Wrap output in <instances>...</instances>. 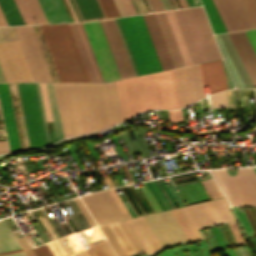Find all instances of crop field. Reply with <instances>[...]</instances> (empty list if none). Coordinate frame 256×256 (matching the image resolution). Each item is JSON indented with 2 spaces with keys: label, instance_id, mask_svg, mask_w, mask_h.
<instances>
[{
  "label": "crop field",
  "instance_id": "crop-field-24",
  "mask_svg": "<svg viewBox=\"0 0 256 256\" xmlns=\"http://www.w3.org/2000/svg\"><path fill=\"white\" fill-rule=\"evenodd\" d=\"M91 96V102L94 112V118L96 123V129L101 130L107 128V120L100 90L99 83H88Z\"/></svg>",
  "mask_w": 256,
  "mask_h": 256
},
{
  "label": "crop field",
  "instance_id": "crop-field-27",
  "mask_svg": "<svg viewBox=\"0 0 256 256\" xmlns=\"http://www.w3.org/2000/svg\"><path fill=\"white\" fill-rule=\"evenodd\" d=\"M49 23L69 22L59 0H39Z\"/></svg>",
  "mask_w": 256,
  "mask_h": 256
},
{
  "label": "crop field",
  "instance_id": "crop-field-35",
  "mask_svg": "<svg viewBox=\"0 0 256 256\" xmlns=\"http://www.w3.org/2000/svg\"><path fill=\"white\" fill-rule=\"evenodd\" d=\"M202 184L210 195L211 199L224 197L213 179L202 181Z\"/></svg>",
  "mask_w": 256,
  "mask_h": 256
},
{
  "label": "crop field",
  "instance_id": "crop-field-36",
  "mask_svg": "<svg viewBox=\"0 0 256 256\" xmlns=\"http://www.w3.org/2000/svg\"><path fill=\"white\" fill-rule=\"evenodd\" d=\"M210 99L213 108L229 107L225 91L211 95Z\"/></svg>",
  "mask_w": 256,
  "mask_h": 256
},
{
  "label": "crop field",
  "instance_id": "crop-field-54",
  "mask_svg": "<svg viewBox=\"0 0 256 256\" xmlns=\"http://www.w3.org/2000/svg\"><path fill=\"white\" fill-rule=\"evenodd\" d=\"M189 7L201 5L199 0H186Z\"/></svg>",
  "mask_w": 256,
  "mask_h": 256
},
{
  "label": "crop field",
  "instance_id": "crop-field-1",
  "mask_svg": "<svg viewBox=\"0 0 256 256\" xmlns=\"http://www.w3.org/2000/svg\"><path fill=\"white\" fill-rule=\"evenodd\" d=\"M116 83L124 120L146 109L180 108L172 70Z\"/></svg>",
  "mask_w": 256,
  "mask_h": 256
},
{
  "label": "crop field",
  "instance_id": "crop-field-17",
  "mask_svg": "<svg viewBox=\"0 0 256 256\" xmlns=\"http://www.w3.org/2000/svg\"><path fill=\"white\" fill-rule=\"evenodd\" d=\"M163 70L174 68L153 13L142 15Z\"/></svg>",
  "mask_w": 256,
  "mask_h": 256
},
{
  "label": "crop field",
  "instance_id": "crop-field-3",
  "mask_svg": "<svg viewBox=\"0 0 256 256\" xmlns=\"http://www.w3.org/2000/svg\"><path fill=\"white\" fill-rule=\"evenodd\" d=\"M173 12L194 64L222 58L202 7Z\"/></svg>",
  "mask_w": 256,
  "mask_h": 256
},
{
  "label": "crop field",
  "instance_id": "crop-field-58",
  "mask_svg": "<svg viewBox=\"0 0 256 256\" xmlns=\"http://www.w3.org/2000/svg\"><path fill=\"white\" fill-rule=\"evenodd\" d=\"M179 1H180V3H181V5H182L183 8L188 7L187 4H186V2H185V0H179Z\"/></svg>",
  "mask_w": 256,
  "mask_h": 256
},
{
  "label": "crop field",
  "instance_id": "crop-field-34",
  "mask_svg": "<svg viewBox=\"0 0 256 256\" xmlns=\"http://www.w3.org/2000/svg\"><path fill=\"white\" fill-rule=\"evenodd\" d=\"M197 101L205 97L198 65L190 66Z\"/></svg>",
  "mask_w": 256,
  "mask_h": 256
},
{
  "label": "crop field",
  "instance_id": "crop-field-33",
  "mask_svg": "<svg viewBox=\"0 0 256 256\" xmlns=\"http://www.w3.org/2000/svg\"><path fill=\"white\" fill-rule=\"evenodd\" d=\"M215 34L227 32L212 0H202Z\"/></svg>",
  "mask_w": 256,
  "mask_h": 256
},
{
  "label": "crop field",
  "instance_id": "crop-field-49",
  "mask_svg": "<svg viewBox=\"0 0 256 256\" xmlns=\"http://www.w3.org/2000/svg\"><path fill=\"white\" fill-rule=\"evenodd\" d=\"M213 2H214L215 6H216V8H217V11H218V13H219V15H220V17H221V19H222V21H223V23H224L226 29H227V31L230 32L231 30H230V28H229V26H228V24H227V22H226V20H225V18H224V16H223L222 12H221V10H220V8H219V6H218L216 0H213Z\"/></svg>",
  "mask_w": 256,
  "mask_h": 256
},
{
  "label": "crop field",
  "instance_id": "crop-field-46",
  "mask_svg": "<svg viewBox=\"0 0 256 256\" xmlns=\"http://www.w3.org/2000/svg\"><path fill=\"white\" fill-rule=\"evenodd\" d=\"M114 3L119 11L120 16L128 15L121 0H114Z\"/></svg>",
  "mask_w": 256,
  "mask_h": 256
},
{
  "label": "crop field",
  "instance_id": "crop-field-55",
  "mask_svg": "<svg viewBox=\"0 0 256 256\" xmlns=\"http://www.w3.org/2000/svg\"><path fill=\"white\" fill-rule=\"evenodd\" d=\"M0 25H8L0 9Z\"/></svg>",
  "mask_w": 256,
  "mask_h": 256
},
{
  "label": "crop field",
  "instance_id": "crop-field-48",
  "mask_svg": "<svg viewBox=\"0 0 256 256\" xmlns=\"http://www.w3.org/2000/svg\"><path fill=\"white\" fill-rule=\"evenodd\" d=\"M155 12L164 10L159 0H150Z\"/></svg>",
  "mask_w": 256,
  "mask_h": 256
},
{
  "label": "crop field",
  "instance_id": "crop-field-42",
  "mask_svg": "<svg viewBox=\"0 0 256 256\" xmlns=\"http://www.w3.org/2000/svg\"><path fill=\"white\" fill-rule=\"evenodd\" d=\"M23 237V236H22ZM18 239V238H17ZM18 242L20 243V245L22 246L23 250L25 251V253L27 254V256H35V254L33 253L30 245L28 244V242L26 241L25 237L18 239Z\"/></svg>",
  "mask_w": 256,
  "mask_h": 256
},
{
  "label": "crop field",
  "instance_id": "crop-field-30",
  "mask_svg": "<svg viewBox=\"0 0 256 256\" xmlns=\"http://www.w3.org/2000/svg\"><path fill=\"white\" fill-rule=\"evenodd\" d=\"M168 18V21L170 23L171 29L173 31V34L175 36L176 42L178 44V47L180 49L181 55L183 57L184 63L186 66L192 65L191 58L189 56L188 50L186 48V45L184 43V40L182 38L181 32L179 30V27L177 25V22L175 20L174 14L172 11L165 12Z\"/></svg>",
  "mask_w": 256,
  "mask_h": 256
},
{
  "label": "crop field",
  "instance_id": "crop-field-47",
  "mask_svg": "<svg viewBox=\"0 0 256 256\" xmlns=\"http://www.w3.org/2000/svg\"><path fill=\"white\" fill-rule=\"evenodd\" d=\"M243 209L245 210L246 215H247V218H248V221H249V224H250V226H251V228H252L254 234L256 235V227H255V225H254V222H253V219H252V217H251L250 211H249L248 208H243Z\"/></svg>",
  "mask_w": 256,
  "mask_h": 256
},
{
  "label": "crop field",
  "instance_id": "crop-field-50",
  "mask_svg": "<svg viewBox=\"0 0 256 256\" xmlns=\"http://www.w3.org/2000/svg\"><path fill=\"white\" fill-rule=\"evenodd\" d=\"M222 62H223V61H222ZM223 67H224V72H225L227 87H228V89H232V88H234V86H233V84H232V81H231L230 76H229V74H228V72H227V69H226V67H225L224 62H223Z\"/></svg>",
  "mask_w": 256,
  "mask_h": 256
},
{
  "label": "crop field",
  "instance_id": "crop-field-41",
  "mask_svg": "<svg viewBox=\"0 0 256 256\" xmlns=\"http://www.w3.org/2000/svg\"><path fill=\"white\" fill-rule=\"evenodd\" d=\"M33 250L37 256H52L46 244L33 248Z\"/></svg>",
  "mask_w": 256,
  "mask_h": 256
},
{
  "label": "crop field",
  "instance_id": "crop-field-43",
  "mask_svg": "<svg viewBox=\"0 0 256 256\" xmlns=\"http://www.w3.org/2000/svg\"><path fill=\"white\" fill-rule=\"evenodd\" d=\"M255 52H256V30H248V31H245Z\"/></svg>",
  "mask_w": 256,
  "mask_h": 256
},
{
  "label": "crop field",
  "instance_id": "crop-field-56",
  "mask_svg": "<svg viewBox=\"0 0 256 256\" xmlns=\"http://www.w3.org/2000/svg\"><path fill=\"white\" fill-rule=\"evenodd\" d=\"M216 229V231H217V233H218V235H219V238H220V241H221V243H222V246H223V248H225L226 246H225V244H224V242H223V239H222V237H221V235H220V232H219V230H218V228L216 227L215 228ZM215 229H214V231H215ZM212 230V229H211ZM216 231H215V233H216ZM213 232V231H212ZM217 233H216V235H217ZM214 234V233H213ZM218 235H217V237H218ZM218 238V239H219ZM220 248V247H219Z\"/></svg>",
  "mask_w": 256,
  "mask_h": 256
},
{
  "label": "crop field",
  "instance_id": "crop-field-23",
  "mask_svg": "<svg viewBox=\"0 0 256 256\" xmlns=\"http://www.w3.org/2000/svg\"><path fill=\"white\" fill-rule=\"evenodd\" d=\"M26 24L48 23L38 0H15Z\"/></svg>",
  "mask_w": 256,
  "mask_h": 256
},
{
  "label": "crop field",
  "instance_id": "crop-field-6",
  "mask_svg": "<svg viewBox=\"0 0 256 256\" xmlns=\"http://www.w3.org/2000/svg\"><path fill=\"white\" fill-rule=\"evenodd\" d=\"M139 74L162 70L141 15L119 18Z\"/></svg>",
  "mask_w": 256,
  "mask_h": 256
},
{
  "label": "crop field",
  "instance_id": "crop-field-52",
  "mask_svg": "<svg viewBox=\"0 0 256 256\" xmlns=\"http://www.w3.org/2000/svg\"><path fill=\"white\" fill-rule=\"evenodd\" d=\"M9 152L7 142L6 141H0V154Z\"/></svg>",
  "mask_w": 256,
  "mask_h": 256
},
{
  "label": "crop field",
  "instance_id": "crop-field-57",
  "mask_svg": "<svg viewBox=\"0 0 256 256\" xmlns=\"http://www.w3.org/2000/svg\"><path fill=\"white\" fill-rule=\"evenodd\" d=\"M0 82H6L4 79L3 73L1 71V68H0Z\"/></svg>",
  "mask_w": 256,
  "mask_h": 256
},
{
  "label": "crop field",
  "instance_id": "crop-field-5",
  "mask_svg": "<svg viewBox=\"0 0 256 256\" xmlns=\"http://www.w3.org/2000/svg\"><path fill=\"white\" fill-rule=\"evenodd\" d=\"M225 198L201 204L172 209L174 217L189 241L202 239L197 229L222 222L234 221Z\"/></svg>",
  "mask_w": 256,
  "mask_h": 256
},
{
  "label": "crop field",
  "instance_id": "crop-field-61",
  "mask_svg": "<svg viewBox=\"0 0 256 256\" xmlns=\"http://www.w3.org/2000/svg\"><path fill=\"white\" fill-rule=\"evenodd\" d=\"M0 119H2V117H1V112H0Z\"/></svg>",
  "mask_w": 256,
  "mask_h": 256
},
{
  "label": "crop field",
  "instance_id": "crop-field-53",
  "mask_svg": "<svg viewBox=\"0 0 256 256\" xmlns=\"http://www.w3.org/2000/svg\"><path fill=\"white\" fill-rule=\"evenodd\" d=\"M160 1H161L165 10L173 9L169 0H160Z\"/></svg>",
  "mask_w": 256,
  "mask_h": 256
},
{
  "label": "crop field",
  "instance_id": "crop-field-59",
  "mask_svg": "<svg viewBox=\"0 0 256 256\" xmlns=\"http://www.w3.org/2000/svg\"><path fill=\"white\" fill-rule=\"evenodd\" d=\"M251 240H252V242H253V243L255 244V246H256V242H255V241H256V238H254L255 241L253 240V238H251Z\"/></svg>",
  "mask_w": 256,
  "mask_h": 256
},
{
  "label": "crop field",
  "instance_id": "crop-field-40",
  "mask_svg": "<svg viewBox=\"0 0 256 256\" xmlns=\"http://www.w3.org/2000/svg\"><path fill=\"white\" fill-rule=\"evenodd\" d=\"M170 122L183 121L181 110H168Z\"/></svg>",
  "mask_w": 256,
  "mask_h": 256
},
{
  "label": "crop field",
  "instance_id": "crop-field-11",
  "mask_svg": "<svg viewBox=\"0 0 256 256\" xmlns=\"http://www.w3.org/2000/svg\"><path fill=\"white\" fill-rule=\"evenodd\" d=\"M35 82H53L31 26L14 27Z\"/></svg>",
  "mask_w": 256,
  "mask_h": 256
},
{
  "label": "crop field",
  "instance_id": "crop-field-18",
  "mask_svg": "<svg viewBox=\"0 0 256 256\" xmlns=\"http://www.w3.org/2000/svg\"><path fill=\"white\" fill-rule=\"evenodd\" d=\"M109 127L123 121L115 81L100 83Z\"/></svg>",
  "mask_w": 256,
  "mask_h": 256
},
{
  "label": "crop field",
  "instance_id": "crop-field-8",
  "mask_svg": "<svg viewBox=\"0 0 256 256\" xmlns=\"http://www.w3.org/2000/svg\"><path fill=\"white\" fill-rule=\"evenodd\" d=\"M231 205L256 206V175L252 168L237 169V176L224 170L211 171Z\"/></svg>",
  "mask_w": 256,
  "mask_h": 256
},
{
  "label": "crop field",
  "instance_id": "crop-field-21",
  "mask_svg": "<svg viewBox=\"0 0 256 256\" xmlns=\"http://www.w3.org/2000/svg\"><path fill=\"white\" fill-rule=\"evenodd\" d=\"M171 56L174 67L185 66L164 12L154 13Z\"/></svg>",
  "mask_w": 256,
  "mask_h": 256
},
{
  "label": "crop field",
  "instance_id": "crop-field-14",
  "mask_svg": "<svg viewBox=\"0 0 256 256\" xmlns=\"http://www.w3.org/2000/svg\"><path fill=\"white\" fill-rule=\"evenodd\" d=\"M227 66L237 87L253 88V84L228 36L215 35Z\"/></svg>",
  "mask_w": 256,
  "mask_h": 256
},
{
  "label": "crop field",
  "instance_id": "crop-field-19",
  "mask_svg": "<svg viewBox=\"0 0 256 256\" xmlns=\"http://www.w3.org/2000/svg\"><path fill=\"white\" fill-rule=\"evenodd\" d=\"M204 86L210 94L227 89L221 60L199 65Z\"/></svg>",
  "mask_w": 256,
  "mask_h": 256
},
{
  "label": "crop field",
  "instance_id": "crop-field-29",
  "mask_svg": "<svg viewBox=\"0 0 256 256\" xmlns=\"http://www.w3.org/2000/svg\"><path fill=\"white\" fill-rule=\"evenodd\" d=\"M47 246L54 256H81L69 236L48 243Z\"/></svg>",
  "mask_w": 256,
  "mask_h": 256
},
{
  "label": "crop field",
  "instance_id": "crop-field-16",
  "mask_svg": "<svg viewBox=\"0 0 256 256\" xmlns=\"http://www.w3.org/2000/svg\"><path fill=\"white\" fill-rule=\"evenodd\" d=\"M232 31L256 28L242 0H217Z\"/></svg>",
  "mask_w": 256,
  "mask_h": 256
},
{
  "label": "crop field",
  "instance_id": "crop-field-2",
  "mask_svg": "<svg viewBox=\"0 0 256 256\" xmlns=\"http://www.w3.org/2000/svg\"><path fill=\"white\" fill-rule=\"evenodd\" d=\"M64 136L95 132L87 83H54Z\"/></svg>",
  "mask_w": 256,
  "mask_h": 256
},
{
  "label": "crop field",
  "instance_id": "crop-field-22",
  "mask_svg": "<svg viewBox=\"0 0 256 256\" xmlns=\"http://www.w3.org/2000/svg\"><path fill=\"white\" fill-rule=\"evenodd\" d=\"M0 256H26L4 219L0 220Z\"/></svg>",
  "mask_w": 256,
  "mask_h": 256
},
{
  "label": "crop field",
  "instance_id": "crop-field-26",
  "mask_svg": "<svg viewBox=\"0 0 256 256\" xmlns=\"http://www.w3.org/2000/svg\"><path fill=\"white\" fill-rule=\"evenodd\" d=\"M83 234L97 256H115L98 227L83 231Z\"/></svg>",
  "mask_w": 256,
  "mask_h": 256
},
{
  "label": "crop field",
  "instance_id": "crop-field-9",
  "mask_svg": "<svg viewBox=\"0 0 256 256\" xmlns=\"http://www.w3.org/2000/svg\"><path fill=\"white\" fill-rule=\"evenodd\" d=\"M61 82H81L59 24L40 25Z\"/></svg>",
  "mask_w": 256,
  "mask_h": 256
},
{
  "label": "crop field",
  "instance_id": "crop-field-51",
  "mask_svg": "<svg viewBox=\"0 0 256 256\" xmlns=\"http://www.w3.org/2000/svg\"><path fill=\"white\" fill-rule=\"evenodd\" d=\"M168 188L170 189V191L172 192L173 196L175 197V199L177 200V202L179 203L180 206H183V202L181 201V199L179 198L178 194L176 193V191L174 190V188L172 187V185H168Z\"/></svg>",
  "mask_w": 256,
  "mask_h": 256
},
{
  "label": "crop field",
  "instance_id": "crop-field-20",
  "mask_svg": "<svg viewBox=\"0 0 256 256\" xmlns=\"http://www.w3.org/2000/svg\"><path fill=\"white\" fill-rule=\"evenodd\" d=\"M0 101L10 149L11 151L20 150L7 83H0Z\"/></svg>",
  "mask_w": 256,
  "mask_h": 256
},
{
  "label": "crop field",
  "instance_id": "crop-field-25",
  "mask_svg": "<svg viewBox=\"0 0 256 256\" xmlns=\"http://www.w3.org/2000/svg\"><path fill=\"white\" fill-rule=\"evenodd\" d=\"M82 21L106 18L98 0H73Z\"/></svg>",
  "mask_w": 256,
  "mask_h": 256
},
{
  "label": "crop field",
  "instance_id": "crop-field-39",
  "mask_svg": "<svg viewBox=\"0 0 256 256\" xmlns=\"http://www.w3.org/2000/svg\"><path fill=\"white\" fill-rule=\"evenodd\" d=\"M143 185L146 187L147 190H144L143 193L145 194L146 198L148 199V201L150 202V204L152 205L153 209L155 210V212L158 211H162V208L160 207V205L158 204V202L156 201V199L154 198L153 194L151 193V191L149 190V188L147 187V185L145 184V182H143Z\"/></svg>",
  "mask_w": 256,
  "mask_h": 256
},
{
  "label": "crop field",
  "instance_id": "crop-field-10",
  "mask_svg": "<svg viewBox=\"0 0 256 256\" xmlns=\"http://www.w3.org/2000/svg\"><path fill=\"white\" fill-rule=\"evenodd\" d=\"M31 149L47 145L35 83H18Z\"/></svg>",
  "mask_w": 256,
  "mask_h": 256
},
{
  "label": "crop field",
  "instance_id": "crop-field-31",
  "mask_svg": "<svg viewBox=\"0 0 256 256\" xmlns=\"http://www.w3.org/2000/svg\"><path fill=\"white\" fill-rule=\"evenodd\" d=\"M82 82H89L67 24H60Z\"/></svg>",
  "mask_w": 256,
  "mask_h": 256
},
{
  "label": "crop field",
  "instance_id": "crop-field-32",
  "mask_svg": "<svg viewBox=\"0 0 256 256\" xmlns=\"http://www.w3.org/2000/svg\"><path fill=\"white\" fill-rule=\"evenodd\" d=\"M0 7L9 25L24 24L14 0H0Z\"/></svg>",
  "mask_w": 256,
  "mask_h": 256
},
{
  "label": "crop field",
  "instance_id": "crop-field-60",
  "mask_svg": "<svg viewBox=\"0 0 256 256\" xmlns=\"http://www.w3.org/2000/svg\"><path fill=\"white\" fill-rule=\"evenodd\" d=\"M253 170L255 171V173H256V168H253Z\"/></svg>",
  "mask_w": 256,
  "mask_h": 256
},
{
  "label": "crop field",
  "instance_id": "crop-field-44",
  "mask_svg": "<svg viewBox=\"0 0 256 256\" xmlns=\"http://www.w3.org/2000/svg\"><path fill=\"white\" fill-rule=\"evenodd\" d=\"M36 85H37L38 96H39V101H40V106H41V111H42V117H43L45 132H46L47 143H48V145H49L50 142H49V137H48V132H47V126H46V121H45V116H44L42 101H41V95H40L39 85H38V83H36Z\"/></svg>",
  "mask_w": 256,
  "mask_h": 256
},
{
  "label": "crop field",
  "instance_id": "crop-field-15",
  "mask_svg": "<svg viewBox=\"0 0 256 256\" xmlns=\"http://www.w3.org/2000/svg\"><path fill=\"white\" fill-rule=\"evenodd\" d=\"M91 82H104L82 23L69 24Z\"/></svg>",
  "mask_w": 256,
  "mask_h": 256
},
{
  "label": "crop field",
  "instance_id": "crop-field-7",
  "mask_svg": "<svg viewBox=\"0 0 256 256\" xmlns=\"http://www.w3.org/2000/svg\"><path fill=\"white\" fill-rule=\"evenodd\" d=\"M18 40L13 27H0V41ZM0 65L7 82H34L18 41L0 42Z\"/></svg>",
  "mask_w": 256,
  "mask_h": 256
},
{
  "label": "crop field",
  "instance_id": "crop-field-45",
  "mask_svg": "<svg viewBox=\"0 0 256 256\" xmlns=\"http://www.w3.org/2000/svg\"><path fill=\"white\" fill-rule=\"evenodd\" d=\"M129 15L137 14L131 0H122Z\"/></svg>",
  "mask_w": 256,
  "mask_h": 256
},
{
  "label": "crop field",
  "instance_id": "crop-field-28",
  "mask_svg": "<svg viewBox=\"0 0 256 256\" xmlns=\"http://www.w3.org/2000/svg\"><path fill=\"white\" fill-rule=\"evenodd\" d=\"M45 85H46L50 109H51V113H52L56 139L58 141V140L63 139L64 136H63L62 126H61V121H60V116H59V111H58V105H57L54 85H53V83H45Z\"/></svg>",
  "mask_w": 256,
  "mask_h": 256
},
{
  "label": "crop field",
  "instance_id": "crop-field-12",
  "mask_svg": "<svg viewBox=\"0 0 256 256\" xmlns=\"http://www.w3.org/2000/svg\"><path fill=\"white\" fill-rule=\"evenodd\" d=\"M104 81L119 79L117 69L98 21L83 23Z\"/></svg>",
  "mask_w": 256,
  "mask_h": 256
},
{
  "label": "crop field",
  "instance_id": "crop-field-4",
  "mask_svg": "<svg viewBox=\"0 0 256 256\" xmlns=\"http://www.w3.org/2000/svg\"><path fill=\"white\" fill-rule=\"evenodd\" d=\"M154 234L164 247L188 242L185 234L171 214L170 210L144 216ZM143 216L130 219L150 255L162 249L159 241L146 223Z\"/></svg>",
  "mask_w": 256,
  "mask_h": 256
},
{
  "label": "crop field",
  "instance_id": "crop-field-38",
  "mask_svg": "<svg viewBox=\"0 0 256 256\" xmlns=\"http://www.w3.org/2000/svg\"><path fill=\"white\" fill-rule=\"evenodd\" d=\"M233 209H234L236 215L238 216V218H239L241 224L243 225V227H244V229H245L247 235H249V236L254 235L253 232H252V230H251V228H250V226H249V224H248V221H247V219H246V216H245V214H244V211L240 212V210H239L238 207H233Z\"/></svg>",
  "mask_w": 256,
  "mask_h": 256
},
{
  "label": "crop field",
  "instance_id": "crop-field-13",
  "mask_svg": "<svg viewBox=\"0 0 256 256\" xmlns=\"http://www.w3.org/2000/svg\"><path fill=\"white\" fill-rule=\"evenodd\" d=\"M121 78L133 76L134 71L114 19L99 21Z\"/></svg>",
  "mask_w": 256,
  "mask_h": 256
},
{
  "label": "crop field",
  "instance_id": "crop-field-37",
  "mask_svg": "<svg viewBox=\"0 0 256 256\" xmlns=\"http://www.w3.org/2000/svg\"><path fill=\"white\" fill-rule=\"evenodd\" d=\"M150 186L152 187V189L154 190L155 194L157 195V197L159 198L160 202L162 203V205L164 206L165 210L167 209H171L170 204L168 203V201L166 200L165 196L163 195V193L161 192L160 188L158 187V185L156 184L155 180L153 181H149Z\"/></svg>",
  "mask_w": 256,
  "mask_h": 256
}]
</instances>
